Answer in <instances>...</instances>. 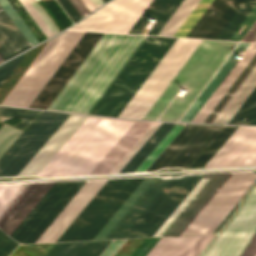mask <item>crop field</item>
Here are the masks:
<instances>
[{
    "mask_svg": "<svg viewBox=\"0 0 256 256\" xmlns=\"http://www.w3.org/2000/svg\"><path fill=\"white\" fill-rule=\"evenodd\" d=\"M83 33L67 31L51 39L3 104L28 107Z\"/></svg>",
    "mask_w": 256,
    "mask_h": 256,
    "instance_id": "7",
    "label": "crop field"
},
{
    "mask_svg": "<svg viewBox=\"0 0 256 256\" xmlns=\"http://www.w3.org/2000/svg\"><path fill=\"white\" fill-rule=\"evenodd\" d=\"M248 45L249 43L238 44V46L235 48L232 54L228 57V59L225 61L222 67L218 70V72L215 74L212 80L208 83V85L205 87L202 93L198 96V98L195 100L192 106L188 109V111L182 117L181 121L190 122L192 120V118L195 116V114L198 112V110L201 108L204 102L208 99V97L211 95V93L214 91V89L217 87L220 81L224 78V76L227 74V72L236 62L237 59L234 58L235 55L238 53L240 49L245 51Z\"/></svg>",
    "mask_w": 256,
    "mask_h": 256,
    "instance_id": "25",
    "label": "crop field"
},
{
    "mask_svg": "<svg viewBox=\"0 0 256 256\" xmlns=\"http://www.w3.org/2000/svg\"><path fill=\"white\" fill-rule=\"evenodd\" d=\"M239 256H256V232Z\"/></svg>",
    "mask_w": 256,
    "mask_h": 256,
    "instance_id": "49",
    "label": "crop field"
},
{
    "mask_svg": "<svg viewBox=\"0 0 256 256\" xmlns=\"http://www.w3.org/2000/svg\"><path fill=\"white\" fill-rule=\"evenodd\" d=\"M249 52L246 57L242 61H238L237 64L233 67L230 73L226 76V78L222 81L219 87L215 90V92L211 95L208 101L204 104V106L200 109L197 115L193 118V122H204L220 99L224 96L242 70L246 67L249 61L256 53V43H251L249 48L247 49Z\"/></svg>",
    "mask_w": 256,
    "mask_h": 256,
    "instance_id": "24",
    "label": "crop field"
},
{
    "mask_svg": "<svg viewBox=\"0 0 256 256\" xmlns=\"http://www.w3.org/2000/svg\"><path fill=\"white\" fill-rule=\"evenodd\" d=\"M52 184L0 186V228L10 236Z\"/></svg>",
    "mask_w": 256,
    "mask_h": 256,
    "instance_id": "15",
    "label": "crop field"
},
{
    "mask_svg": "<svg viewBox=\"0 0 256 256\" xmlns=\"http://www.w3.org/2000/svg\"><path fill=\"white\" fill-rule=\"evenodd\" d=\"M10 256H35V255L19 245Z\"/></svg>",
    "mask_w": 256,
    "mask_h": 256,
    "instance_id": "54",
    "label": "crop field"
},
{
    "mask_svg": "<svg viewBox=\"0 0 256 256\" xmlns=\"http://www.w3.org/2000/svg\"><path fill=\"white\" fill-rule=\"evenodd\" d=\"M256 108V88L246 99L229 123L244 124Z\"/></svg>",
    "mask_w": 256,
    "mask_h": 256,
    "instance_id": "38",
    "label": "crop field"
},
{
    "mask_svg": "<svg viewBox=\"0 0 256 256\" xmlns=\"http://www.w3.org/2000/svg\"><path fill=\"white\" fill-rule=\"evenodd\" d=\"M236 44L202 40L143 119L157 120L178 90L186 89L185 97L176 96L159 119L177 121Z\"/></svg>",
    "mask_w": 256,
    "mask_h": 256,
    "instance_id": "4",
    "label": "crop field"
},
{
    "mask_svg": "<svg viewBox=\"0 0 256 256\" xmlns=\"http://www.w3.org/2000/svg\"><path fill=\"white\" fill-rule=\"evenodd\" d=\"M199 0H184L158 35L173 36Z\"/></svg>",
    "mask_w": 256,
    "mask_h": 256,
    "instance_id": "30",
    "label": "crop field"
},
{
    "mask_svg": "<svg viewBox=\"0 0 256 256\" xmlns=\"http://www.w3.org/2000/svg\"><path fill=\"white\" fill-rule=\"evenodd\" d=\"M255 20H256V6L253 8L250 14L246 17V19L243 21V23L240 25V27L237 29V31L234 33V35L231 37L230 40L240 41ZM244 23H248L245 29L242 31L241 34H236Z\"/></svg>",
    "mask_w": 256,
    "mask_h": 256,
    "instance_id": "45",
    "label": "crop field"
},
{
    "mask_svg": "<svg viewBox=\"0 0 256 256\" xmlns=\"http://www.w3.org/2000/svg\"><path fill=\"white\" fill-rule=\"evenodd\" d=\"M160 124L161 123H154L110 173H119L121 169L127 164V162L134 156V154L140 149V147L146 142V140L159 127Z\"/></svg>",
    "mask_w": 256,
    "mask_h": 256,
    "instance_id": "39",
    "label": "crop field"
},
{
    "mask_svg": "<svg viewBox=\"0 0 256 256\" xmlns=\"http://www.w3.org/2000/svg\"><path fill=\"white\" fill-rule=\"evenodd\" d=\"M256 165V127H239L204 168Z\"/></svg>",
    "mask_w": 256,
    "mask_h": 256,
    "instance_id": "18",
    "label": "crop field"
},
{
    "mask_svg": "<svg viewBox=\"0 0 256 256\" xmlns=\"http://www.w3.org/2000/svg\"><path fill=\"white\" fill-rule=\"evenodd\" d=\"M40 111L33 110H21V109H12L0 107V120L5 122L15 116L23 119L21 120L16 127L25 130L27 126L32 122V120L38 115Z\"/></svg>",
    "mask_w": 256,
    "mask_h": 256,
    "instance_id": "33",
    "label": "crop field"
},
{
    "mask_svg": "<svg viewBox=\"0 0 256 256\" xmlns=\"http://www.w3.org/2000/svg\"><path fill=\"white\" fill-rule=\"evenodd\" d=\"M92 1H93V3L96 5L97 8L103 4V3L101 2V0H92Z\"/></svg>",
    "mask_w": 256,
    "mask_h": 256,
    "instance_id": "57",
    "label": "crop field"
},
{
    "mask_svg": "<svg viewBox=\"0 0 256 256\" xmlns=\"http://www.w3.org/2000/svg\"><path fill=\"white\" fill-rule=\"evenodd\" d=\"M255 180L256 174L254 173H231L180 235L212 233ZM243 196L213 233H218L219 230L224 226V224L232 216Z\"/></svg>",
    "mask_w": 256,
    "mask_h": 256,
    "instance_id": "9",
    "label": "crop field"
},
{
    "mask_svg": "<svg viewBox=\"0 0 256 256\" xmlns=\"http://www.w3.org/2000/svg\"><path fill=\"white\" fill-rule=\"evenodd\" d=\"M175 124L162 123L120 173L134 172Z\"/></svg>",
    "mask_w": 256,
    "mask_h": 256,
    "instance_id": "28",
    "label": "crop field"
},
{
    "mask_svg": "<svg viewBox=\"0 0 256 256\" xmlns=\"http://www.w3.org/2000/svg\"><path fill=\"white\" fill-rule=\"evenodd\" d=\"M214 236L161 238L147 256H199Z\"/></svg>",
    "mask_w": 256,
    "mask_h": 256,
    "instance_id": "21",
    "label": "crop field"
},
{
    "mask_svg": "<svg viewBox=\"0 0 256 256\" xmlns=\"http://www.w3.org/2000/svg\"><path fill=\"white\" fill-rule=\"evenodd\" d=\"M185 125H175L135 172L145 171Z\"/></svg>",
    "mask_w": 256,
    "mask_h": 256,
    "instance_id": "36",
    "label": "crop field"
},
{
    "mask_svg": "<svg viewBox=\"0 0 256 256\" xmlns=\"http://www.w3.org/2000/svg\"><path fill=\"white\" fill-rule=\"evenodd\" d=\"M22 130L4 124L0 129V157L12 145V143L19 137Z\"/></svg>",
    "mask_w": 256,
    "mask_h": 256,
    "instance_id": "40",
    "label": "crop field"
},
{
    "mask_svg": "<svg viewBox=\"0 0 256 256\" xmlns=\"http://www.w3.org/2000/svg\"><path fill=\"white\" fill-rule=\"evenodd\" d=\"M69 1L72 3V5L75 7V9L78 11V13L81 15L82 18L85 17L87 14H89L79 0H69Z\"/></svg>",
    "mask_w": 256,
    "mask_h": 256,
    "instance_id": "52",
    "label": "crop field"
},
{
    "mask_svg": "<svg viewBox=\"0 0 256 256\" xmlns=\"http://www.w3.org/2000/svg\"><path fill=\"white\" fill-rule=\"evenodd\" d=\"M69 115L42 111L0 160V176H16Z\"/></svg>",
    "mask_w": 256,
    "mask_h": 256,
    "instance_id": "10",
    "label": "crop field"
},
{
    "mask_svg": "<svg viewBox=\"0 0 256 256\" xmlns=\"http://www.w3.org/2000/svg\"><path fill=\"white\" fill-rule=\"evenodd\" d=\"M256 230V186L202 256H238Z\"/></svg>",
    "mask_w": 256,
    "mask_h": 256,
    "instance_id": "14",
    "label": "crop field"
},
{
    "mask_svg": "<svg viewBox=\"0 0 256 256\" xmlns=\"http://www.w3.org/2000/svg\"><path fill=\"white\" fill-rule=\"evenodd\" d=\"M245 0H234L206 38L216 39Z\"/></svg>",
    "mask_w": 256,
    "mask_h": 256,
    "instance_id": "37",
    "label": "crop field"
},
{
    "mask_svg": "<svg viewBox=\"0 0 256 256\" xmlns=\"http://www.w3.org/2000/svg\"><path fill=\"white\" fill-rule=\"evenodd\" d=\"M24 55L25 54L0 66V86L3 84V82L6 80V78L9 76V74L16 67V65L19 63V61L22 59Z\"/></svg>",
    "mask_w": 256,
    "mask_h": 256,
    "instance_id": "44",
    "label": "crop field"
},
{
    "mask_svg": "<svg viewBox=\"0 0 256 256\" xmlns=\"http://www.w3.org/2000/svg\"><path fill=\"white\" fill-rule=\"evenodd\" d=\"M111 241L55 244L46 256H99Z\"/></svg>",
    "mask_w": 256,
    "mask_h": 256,
    "instance_id": "26",
    "label": "crop field"
},
{
    "mask_svg": "<svg viewBox=\"0 0 256 256\" xmlns=\"http://www.w3.org/2000/svg\"><path fill=\"white\" fill-rule=\"evenodd\" d=\"M83 184L54 183L10 237L21 243H35Z\"/></svg>",
    "mask_w": 256,
    "mask_h": 256,
    "instance_id": "11",
    "label": "crop field"
},
{
    "mask_svg": "<svg viewBox=\"0 0 256 256\" xmlns=\"http://www.w3.org/2000/svg\"><path fill=\"white\" fill-rule=\"evenodd\" d=\"M133 122L89 117L38 176L88 175Z\"/></svg>",
    "mask_w": 256,
    "mask_h": 256,
    "instance_id": "3",
    "label": "crop field"
},
{
    "mask_svg": "<svg viewBox=\"0 0 256 256\" xmlns=\"http://www.w3.org/2000/svg\"><path fill=\"white\" fill-rule=\"evenodd\" d=\"M19 1L30 14V16L34 19V21L37 23V25L40 27V29L43 31L46 37L48 38L51 35H53L51 31L48 29V27L45 25V23L42 21V19L39 17V15L36 13V11L33 9V7L30 5V3L27 0Z\"/></svg>",
    "mask_w": 256,
    "mask_h": 256,
    "instance_id": "42",
    "label": "crop field"
},
{
    "mask_svg": "<svg viewBox=\"0 0 256 256\" xmlns=\"http://www.w3.org/2000/svg\"><path fill=\"white\" fill-rule=\"evenodd\" d=\"M171 178H156L105 239L122 238Z\"/></svg>",
    "mask_w": 256,
    "mask_h": 256,
    "instance_id": "23",
    "label": "crop field"
},
{
    "mask_svg": "<svg viewBox=\"0 0 256 256\" xmlns=\"http://www.w3.org/2000/svg\"><path fill=\"white\" fill-rule=\"evenodd\" d=\"M28 1L31 3V5L34 7V9L37 11V13L40 15V17L43 19V21L46 23V25L52 31V33L53 34L57 33L58 32L57 28L54 26V24L51 22V20L45 14V12L42 10V8L34 0H28Z\"/></svg>",
    "mask_w": 256,
    "mask_h": 256,
    "instance_id": "47",
    "label": "crop field"
},
{
    "mask_svg": "<svg viewBox=\"0 0 256 256\" xmlns=\"http://www.w3.org/2000/svg\"><path fill=\"white\" fill-rule=\"evenodd\" d=\"M222 0H215L187 37L194 38Z\"/></svg>",
    "mask_w": 256,
    "mask_h": 256,
    "instance_id": "43",
    "label": "crop field"
},
{
    "mask_svg": "<svg viewBox=\"0 0 256 256\" xmlns=\"http://www.w3.org/2000/svg\"><path fill=\"white\" fill-rule=\"evenodd\" d=\"M0 36L14 55L31 47L0 6Z\"/></svg>",
    "mask_w": 256,
    "mask_h": 256,
    "instance_id": "27",
    "label": "crop field"
},
{
    "mask_svg": "<svg viewBox=\"0 0 256 256\" xmlns=\"http://www.w3.org/2000/svg\"><path fill=\"white\" fill-rule=\"evenodd\" d=\"M145 37L104 34L48 109L89 113Z\"/></svg>",
    "mask_w": 256,
    "mask_h": 256,
    "instance_id": "1",
    "label": "crop field"
},
{
    "mask_svg": "<svg viewBox=\"0 0 256 256\" xmlns=\"http://www.w3.org/2000/svg\"><path fill=\"white\" fill-rule=\"evenodd\" d=\"M126 240H113L100 256H113Z\"/></svg>",
    "mask_w": 256,
    "mask_h": 256,
    "instance_id": "50",
    "label": "crop field"
},
{
    "mask_svg": "<svg viewBox=\"0 0 256 256\" xmlns=\"http://www.w3.org/2000/svg\"><path fill=\"white\" fill-rule=\"evenodd\" d=\"M223 126L187 124L146 171L189 167Z\"/></svg>",
    "mask_w": 256,
    "mask_h": 256,
    "instance_id": "12",
    "label": "crop field"
},
{
    "mask_svg": "<svg viewBox=\"0 0 256 256\" xmlns=\"http://www.w3.org/2000/svg\"><path fill=\"white\" fill-rule=\"evenodd\" d=\"M237 128L238 127H224L220 134L211 142V144L202 152L190 167L204 166Z\"/></svg>",
    "mask_w": 256,
    "mask_h": 256,
    "instance_id": "31",
    "label": "crop field"
},
{
    "mask_svg": "<svg viewBox=\"0 0 256 256\" xmlns=\"http://www.w3.org/2000/svg\"><path fill=\"white\" fill-rule=\"evenodd\" d=\"M151 124L135 121L89 175L109 173Z\"/></svg>",
    "mask_w": 256,
    "mask_h": 256,
    "instance_id": "22",
    "label": "crop field"
},
{
    "mask_svg": "<svg viewBox=\"0 0 256 256\" xmlns=\"http://www.w3.org/2000/svg\"><path fill=\"white\" fill-rule=\"evenodd\" d=\"M175 39L147 36L90 113L117 117Z\"/></svg>",
    "mask_w": 256,
    "mask_h": 256,
    "instance_id": "6",
    "label": "crop field"
},
{
    "mask_svg": "<svg viewBox=\"0 0 256 256\" xmlns=\"http://www.w3.org/2000/svg\"><path fill=\"white\" fill-rule=\"evenodd\" d=\"M154 179L155 178L143 180V182L127 199V201L122 205V207L117 211V213L106 224V226L101 230V232L96 236L94 240L104 239L106 237V235L112 230V228L117 224V222L123 217V215L129 210V208L135 203V201L141 196V194L146 190V188L152 183Z\"/></svg>",
    "mask_w": 256,
    "mask_h": 256,
    "instance_id": "29",
    "label": "crop field"
},
{
    "mask_svg": "<svg viewBox=\"0 0 256 256\" xmlns=\"http://www.w3.org/2000/svg\"><path fill=\"white\" fill-rule=\"evenodd\" d=\"M232 1L233 0H223L195 38H205Z\"/></svg>",
    "mask_w": 256,
    "mask_h": 256,
    "instance_id": "41",
    "label": "crop field"
},
{
    "mask_svg": "<svg viewBox=\"0 0 256 256\" xmlns=\"http://www.w3.org/2000/svg\"><path fill=\"white\" fill-rule=\"evenodd\" d=\"M245 124L256 125V110L252 113V115L249 117Z\"/></svg>",
    "mask_w": 256,
    "mask_h": 256,
    "instance_id": "56",
    "label": "crop field"
},
{
    "mask_svg": "<svg viewBox=\"0 0 256 256\" xmlns=\"http://www.w3.org/2000/svg\"><path fill=\"white\" fill-rule=\"evenodd\" d=\"M87 118L70 115L17 176H37Z\"/></svg>",
    "mask_w": 256,
    "mask_h": 256,
    "instance_id": "20",
    "label": "crop field"
},
{
    "mask_svg": "<svg viewBox=\"0 0 256 256\" xmlns=\"http://www.w3.org/2000/svg\"><path fill=\"white\" fill-rule=\"evenodd\" d=\"M202 176L171 180L123 238L152 236Z\"/></svg>",
    "mask_w": 256,
    "mask_h": 256,
    "instance_id": "13",
    "label": "crop field"
},
{
    "mask_svg": "<svg viewBox=\"0 0 256 256\" xmlns=\"http://www.w3.org/2000/svg\"><path fill=\"white\" fill-rule=\"evenodd\" d=\"M60 5L63 7V9L67 12V14L70 16V18L73 20V22H77L79 19H81L80 15L77 13V11L74 9V7L71 5V3L68 0H57Z\"/></svg>",
    "mask_w": 256,
    "mask_h": 256,
    "instance_id": "48",
    "label": "crop field"
},
{
    "mask_svg": "<svg viewBox=\"0 0 256 256\" xmlns=\"http://www.w3.org/2000/svg\"><path fill=\"white\" fill-rule=\"evenodd\" d=\"M149 0H113L70 29L125 33ZM183 0H150L126 33L140 34L150 18L158 21L148 34L157 35Z\"/></svg>",
    "mask_w": 256,
    "mask_h": 256,
    "instance_id": "5",
    "label": "crop field"
},
{
    "mask_svg": "<svg viewBox=\"0 0 256 256\" xmlns=\"http://www.w3.org/2000/svg\"><path fill=\"white\" fill-rule=\"evenodd\" d=\"M144 178L84 184L36 243L93 240Z\"/></svg>",
    "mask_w": 256,
    "mask_h": 256,
    "instance_id": "2",
    "label": "crop field"
},
{
    "mask_svg": "<svg viewBox=\"0 0 256 256\" xmlns=\"http://www.w3.org/2000/svg\"><path fill=\"white\" fill-rule=\"evenodd\" d=\"M106 1H108V0H102L103 3L106 2Z\"/></svg>",
    "mask_w": 256,
    "mask_h": 256,
    "instance_id": "58",
    "label": "crop field"
},
{
    "mask_svg": "<svg viewBox=\"0 0 256 256\" xmlns=\"http://www.w3.org/2000/svg\"><path fill=\"white\" fill-rule=\"evenodd\" d=\"M241 41H253L256 42V22L250 28V30L246 33Z\"/></svg>",
    "mask_w": 256,
    "mask_h": 256,
    "instance_id": "53",
    "label": "crop field"
},
{
    "mask_svg": "<svg viewBox=\"0 0 256 256\" xmlns=\"http://www.w3.org/2000/svg\"><path fill=\"white\" fill-rule=\"evenodd\" d=\"M200 41L177 38L119 117L142 119Z\"/></svg>",
    "mask_w": 256,
    "mask_h": 256,
    "instance_id": "8",
    "label": "crop field"
},
{
    "mask_svg": "<svg viewBox=\"0 0 256 256\" xmlns=\"http://www.w3.org/2000/svg\"><path fill=\"white\" fill-rule=\"evenodd\" d=\"M213 0H201L174 36L186 37Z\"/></svg>",
    "mask_w": 256,
    "mask_h": 256,
    "instance_id": "34",
    "label": "crop field"
},
{
    "mask_svg": "<svg viewBox=\"0 0 256 256\" xmlns=\"http://www.w3.org/2000/svg\"><path fill=\"white\" fill-rule=\"evenodd\" d=\"M256 86V55L205 122L226 123Z\"/></svg>",
    "mask_w": 256,
    "mask_h": 256,
    "instance_id": "19",
    "label": "crop field"
},
{
    "mask_svg": "<svg viewBox=\"0 0 256 256\" xmlns=\"http://www.w3.org/2000/svg\"><path fill=\"white\" fill-rule=\"evenodd\" d=\"M0 56L3 58V60H7L10 57L14 56L1 38H0ZM1 57H0V62L3 61Z\"/></svg>",
    "mask_w": 256,
    "mask_h": 256,
    "instance_id": "51",
    "label": "crop field"
},
{
    "mask_svg": "<svg viewBox=\"0 0 256 256\" xmlns=\"http://www.w3.org/2000/svg\"><path fill=\"white\" fill-rule=\"evenodd\" d=\"M5 234L0 230V238L2 236H4ZM17 243L14 242L11 238H9L8 236H4L0 239V256H2L3 254H5L8 250H10L14 245H16ZM18 245V244H17ZM16 245V246H17ZM15 246V247H16ZM13 247L9 252H7L4 256H8L13 249L15 248Z\"/></svg>",
    "mask_w": 256,
    "mask_h": 256,
    "instance_id": "46",
    "label": "crop field"
},
{
    "mask_svg": "<svg viewBox=\"0 0 256 256\" xmlns=\"http://www.w3.org/2000/svg\"><path fill=\"white\" fill-rule=\"evenodd\" d=\"M255 4L256 0H246L217 39L229 40Z\"/></svg>",
    "mask_w": 256,
    "mask_h": 256,
    "instance_id": "32",
    "label": "crop field"
},
{
    "mask_svg": "<svg viewBox=\"0 0 256 256\" xmlns=\"http://www.w3.org/2000/svg\"><path fill=\"white\" fill-rule=\"evenodd\" d=\"M0 4L10 16V18L13 20V22L16 24V26L19 28V30L22 32V34L25 36V38L28 40V42L31 44V46L37 44L36 37L33 35V33L30 31V29L27 27V25L24 23V21L18 15V13L9 3V1L0 0Z\"/></svg>",
    "mask_w": 256,
    "mask_h": 256,
    "instance_id": "35",
    "label": "crop field"
},
{
    "mask_svg": "<svg viewBox=\"0 0 256 256\" xmlns=\"http://www.w3.org/2000/svg\"><path fill=\"white\" fill-rule=\"evenodd\" d=\"M102 35L85 32L29 107L47 109Z\"/></svg>",
    "mask_w": 256,
    "mask_h": 256,
    "instance_id": "17",
    "label": "crop field"
},
{
    "mask_svg": "<svg viewBox=\"0 0 256 256\" xmlns=\"http://www.w3.org/2000/svg\"><path fill=\"white\" fill-rule=\"evenodd\" d=\"M229 174L205 175L153 236L179 235Z\"/></svg>",
    "mask_w": 256,
    "mask_h": 256,
    "instance_id": "16",
    "label": "crop field"
},
{
    "mask_svg": "<svg viewBox=\"0 0 256 256\" xmlns=\"http://www.w3.org/2000/svg\"><path fill=\"white\" fill-rule=\"evenodd\" d=\"M82 3H83V5L86 7V9L89 11V13L90 12H92V11H94L95 9H97L96 7H95V5L92 3V1L91 0H80Z\"/></svg>",
    "mask_w": 256,
    "mask_h": 256,
    "instance_id": "55",
    "label": "crop field"
}]
</instances>
